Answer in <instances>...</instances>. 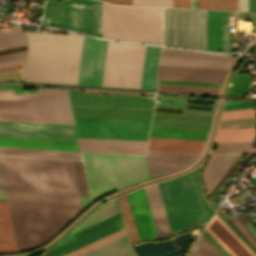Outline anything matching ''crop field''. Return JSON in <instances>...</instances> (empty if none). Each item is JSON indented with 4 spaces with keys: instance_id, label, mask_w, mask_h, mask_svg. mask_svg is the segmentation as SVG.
I'll list each match as a JSON object with an SVG mask.
<instances>
[{
    "instance_id": "obj_1",
    "label": "crop field",
    "mask_w": 256,
    "mask_h": 256,
    "mask_svg": "<svg viewBox=\"0 0 256 256\" xmlns=\"http://www.w3.org/2000/svg\"><path fill=\"white\" fill-rule=\"evenodd\" d=\"M0 168L18 252L43 245L82 211L72 161L0 156Z\"/></svg>"
},
{
    "instance_id": "obj_2",
    "label": "crop field",
    "mask_w": 256,
    "mask_h": 256,
    "mask_svg": "<svg viewBox=\"0 0 256 256\" xmlns=\"http://www.w3.org/2000/svg\"><path fill=\"white\" fill-rule=\"evenodd\" d=\"M24 32L29 48L23 80L76 84L83 36Z\"/></svg>"
},
{
    "instance_id": "obj_3",
    "label": "crop field",
    "mask_w": 256,
    "mask_h": 256,
    "mask_svg": "<svg viewBox=\"0 0 256 256\" xmlns=\"http://www.w3.org/2000/svg\"><path fill=\"white\" fill-rule=\"evenodd\" d=\"M0 120L74 125L66 90L14 94L0 89Z\"/></svg>"
},
{
    "instance_id": "obj_4",
    "label": "crop field",
    "mask_w": 256,
    "mask_h": 256,
    "mask_svg": "<svg viewBox=\"0 0 256 256\" xmlns=\"http://www.w3.org/2000/svg\"><path fill=\"white\" fill-rule=\"evenodd\" d=\"M92 202L149 178L144 156L82 154Z\"/></svg>"
},
{
    "instance_id": "obj_5",
    "label": "crop field",
    "mask_w": 256,
    "mask_h": 256,
    "mask_svg": "<svg viewBox=\"0 0 256 256\" xmlns=\"http://www.w3.org/2000/svg\"><path fill=\"white\" fill-rule=\"evenodd\" d=\"M171 231L206 222L213 211L204 200L197 171L158 184Z\"/></svg>"
},
{
    "instance_id": "obj_6",
    "label": "crop field",
    "mask_w": 256,
    "mask_h": 256,
    "mask_svg": "<svg viewBox=\"0 0 256 256\" xmlns=\"http://www.w3.org/2000/svg\"><path fill=\"white\" fill-rule=\"evenodd\" d=\"M162 8L103 2V37L161 44Z\"/></svg>"
},
{
    "instance_id": "obj_7",
    "label": "crop field",
    "mask_w": 256,
    "mask_h": 256,
    "mask_svg": "<svg viewBox=\"0 0 256 256\" xmlns=\"http://www.w3.org/2000/svg\"><path fill=\"white\" fill-rule=\"evenodd\" d=\"M74 117L150 120L153 101L147 98L81 95L69 91Z\"/></svg>"
},
{
    "instance_id": "obj_8",
    "label": "crop field",
    "mask_w": 256,
    "mask_h": 256,
    "mask_svg": "<svg viewBox=\"0 0 256 256\" xmlns=\"http://www.w3.org/2000/svg\"><path fill=\"white\" fill-rule=\"evenodd\" d=\"M42 23L102 37V2L47 1Z\"/></svg>"
},
{
    "instance_id": "obj_9",
    "label": "crop field",
    "mask_w": 256,
    "mask_h": 256,
    "mask_svg": "<svg viewBox=\"0 0 256 256\" xmlns=\"http://www.w3.org/2000/svg\"><path fill=\"white\" fill-rule=\"evenodd\" d=\"M145 49L108 41L102 86L139 88Z\"/></svg>"
},
{
    "instance_id": "obj_10",
    "label": "crop field",
    "mask_w": 256,
    "mask_h": 256,
    "mask_svg": "<svg viewBox=\"0 0 256 256\" xmlns=\"http://www.w3.org/2000/svg\"><path fill=\"white\" fill-rule=\"evenodd\" d=\"M78 136L147 140L150 121L74 118Z\"/></svg>"
},
{
    "instance_id": "obj_11",
    "label": "crop field",
    "mask_w": 256,
    "mask_h": 256,
    "mask_svg": "<svg viewBox=\"0 0 256 256\" xmlns=\"http://www.w3.org/2000/svg\"><path fill=\"white\" fill-rule=\"evenodd\" d=\"M0 136L77 141L74 126L0 121Z\"/></svg>"
},
{
    "instance_id": "obj_12",
    "label": "crop field",
    "mask_w": 256,
    "mask_h": 256,
    "mask_svg": "<svg viewBox=\"0 0 256 256\" xmlns=\"http://www.w3.org/2000/svg\"><path fill=\"white\" fill-rule=\"evenodd\" d=\"M106 44L84 36L77 84L101 86Z\"/></svg>"
},
{
    "instance_id": "obj_13",
    "label": "crop field",
    "mask_w": 256,
    "mask_h": 256,
    "mask_svg": "<svg viewBox=\"0 0 256 256\" xmlns=\"http://www.w3.org/2000/svg\"><path fill=\"white\" fill-rule=\"evenodd\" d=\"M176 11H168L167 42L175 43ZM186 12H178L177 43L185 44ZM196 13L188 12L187 45L195 46ZM206 13H198L197 46L205 47Z\"/></svg>"
},
{
    "instance_id": "obj_14",
    "label": "crop field",
    "mask_w": 256,
    "mask_h": 256,
    "mask_svg": "<svg viewBox=\"0 0 256 256\" xmlns=\"http://www.w3.org/2000/svg\"><path fill=\"white\" fill-rule=\"evenodd\" d=\"M122 227L123 226L120 214L118 213L110 218H107L97 224H94L86 229L75 233V236L78 240L62 246L56 250H53L47 253L45 256H61L111 232H114Z\"/></svg>"
},
{
    "instance_id": "obj_15",
    "label": "crop field",
    "mask_w": 256,
    "mask_h": 256,
    "mask_svg": "<svg viewBox=\"0 0 256 256\" xmlns=\"http://www.w3.org/2000/svg\"><path fill=\"white\" fill-rule=\"evenodd\" d=\"M226 70L159 65L157 79L221 83Z\"/></svg>"
},
{
    "instance_id": "obj_16",
    "label": "crop field",
    "mask_w": 256,
    "mask_h": 256,
    "mask_svg": "<svg viewBox=\"0 0 256 256\" xmlns=\"http://www.w3.org/2000/svg\"><path fill=\"white\" fill-rule=\"evenodd\" d=\"M82 152L144 154L147 141L79 138Z\"/></svg>"
},
{
    "instance_id": "obj_17",
    "label": "crop field",
    "mask_w": 256,
    "mask_h": 256,
    "mask_svg": "<svg viewBox=\"0 0 256 256\" xmlns=\"http://www.w3.org/2000/svg\"><path fill=\"white\" fill-rule=\"evenodd\" d=\"M131 205L135 223L138 229L140 240L156 237V231L144 193V189H139L127 194Z\"/></svg>"
},
{
    "instance_id": "obj_18",
    "label": "crop field",
    "mask_w": 256,
    "mask_h": 256,
    "mask_svg": "<svg viewBox=\"0 0 256 256\" xmlns=\"http://www.w3.org/2000/svg\"><path fill=\"white\" fill-rule=\"evenodd\" d=\"M205 228L233 256H255L216 215Z\"/></svg>"
},
{
    "instance_id": "obj_19",
    "label": "crop field",
    "mask_w": 256,
    "mask_h": 256,
    "mask_svg": "<svg viewBox=\"0 0 256 256\" xmlns=\"http://www.w3.org/2000/svg\"><path fill=\"white\" fill-rule=\"evenodd\" d=\"M239 154L240 153H223L214 154L211 157L202 172L206 192L212 191Z\"/></svg>"
},
{
    "instance_id": "obj_20",
    "label": "crop field",
    "mask_w": 256,
    "mask_h": 256,
    "mask_svg": "<svg viewBox=\"0 0 256 256\" xmlns=\"http://www.w3.org/2000/svg\"><path fill=\"white\" fill-rule=\"evenodd\" d=\"M205 141L150 137L147 150L199 154Z\"/></svg>"
},
{
    "instance_id": "obj_21",
    "label": "crop field",
    "mask_w": 256,
    "mask_h": 256,
    "mask_svg": "<svg viewBox=\"0 0 256 256\" xmlns=\"http://www.w3.org/2000/svg\"><path fill=\"white\" fill-rule=\"evenodd\" d=\"M211 118L154 114L151 126L208 130Z\"/></svg>"
},
{
    "instance_id": "obj_22",
    "label": "crop field",
    "mask_w": 256,
    "mask_h": 256,
    "mask_svg": "<svg viewBox=\"0 0 256 256\" xmlns=\"http://www.w3.org/2000/svg\"><path fill=\"white\" fill-rule=\"evenodd\" d=\"M0 146L79 151L77 142L36 139L2 138Z\"/></svg>"
},
{
    "instance_id": "obj_23",
    "label": "crop field",
    "mask_w": 256,
    "mask_h": 256,
    "mask_svg": "<svg viewBox=\"0 0 256 256\" xmlns=\"http://www.w3.org/2000/svg\"><path fill=\"white\" fill-rule=\"evenodd\" d=\"M157 231V235L170 233V227L158 189V185H149L144 188Z\"/></svg>"
},
{
    "instance_id": "obj_24",
    "label": "crop field",
    "mask_w": 256,
    "mask_h": 256,
    "mask_svg": "<svg viewBox=\"0 0 256 256\" xmlns=\"http://www.w3.org/2000/svg\"><path fill=\"white\" fill-rule=\"evenodd\" d=\"M17 253L8 206L0 202V254Z\"/></svg>"
},
{
    "instance_id": "obj_25",
    "label": "crop field",
    "mask_w": 256,
    "mask_h": 256,
    "mask_svg": "<svg viewBox=\"0 0 256 256\" xmlns=\"http://www.w3.org/2000/svg\"><path fill=\"white\" fill-rule=\"evenodd\" d=\"M0 154L81 159L79 152H71V151H54V150L0 147Z\"/></svg>"
},
{
    "instance_id": "obj_26",
    "label": "crop field",
    "mask_w": 256,
    "mask_h": 256,
    "mask_svg": "<svg viewBox=\"0 0 256 256\" xmlns=\"http://www.w3.org/2000/svg\"><path fill=\"white\" fill-rule=\"evenodd\" d=\"M222 11H208L207 50H221Z\"/></svg>"
},
{
    "instance_id": "obj_27",
    "label": "crop field",
    "mask_w": 256,
    "mask_h": 256,
    "mask_svg": "<svg viewBox=\"0 0 256 256\" xmlns=\"http://www.w3.org/2000/svg\"><path fill=\"white\" fill-rule=\"evenodd\" d=\"M173 7L190 8V0H173ZM191 8H198V0H191ZM199 8L237 10V0H199Z\"/></svg>"
},
{
    "instance_id": "obj_28",
    "label": "crop field",
    "mask_w": 256,
    "mask_h": 256,
    "mask_svg": "<svg viewBox=\"0 0 256 256\" xmlns=\"http://www.w3.org/2000/svg\"><path fill=\"white\" fill-rule=\"evenodd\" d=\"M256 127L218 129L214 143L254 141Z\"/></svg>"
},
{
    "instance_id": "obj_29",
    "label": "crop field",
    "mask_w": 256,
    "mask_h": 256,
    "mask_svg": "<svg viewBox=\"0 0 256 256\" xmlns=\"http://www.w3.org/2000/svg\"><path fill=\"white\" fill-rule=\"evenodd\" d=\"M160 48L147 46L140 88L152 89Z\"/></svg>"
},
{
    "instance_id": "obj_30",
    "label": "crop field",
    "mask_w": 256,
    "mask_h": 256,
    "mask_svg": "<svg viewBox=\"0 0 256 256\" xmlns=\"http://www.w3.org/2000/svg\"><path fill=\"white\" fill-rule=\"evenodd\" d=\"M82 256H135L126 237H122Z\"/></svg>"
},
{
    "instance_id": "obj_31",
    "label": "crop field",
    "mask_w": 256,
    "mask_h": 256,
    "mask_svg": "<svg viewBox=\"0 0 256 256\" xmlns=\"http://www.w3.org/2000/svg\"><path fill=\"white\" fill-rule=\"evenodd\" d=\"M207 131L151 127L150 136L205 140Z\"/></svg>"
},
{
    "instance_id": "obj_32",
    "label": "crop field",
    "mask_w": 256,
    "mask_h": 256,
    "mask_svg": "<svg viewBox=\"0 0 256 256\" xmlns=\"http://www.w3.org/2000/svg\"><path fill=\"white\" fill-rule=\"evenodd\" d=\"M231 62L160 57L159 64L227 69Z\"/></svg>"
},
{
    "instance_id": "obj_33",
    "label": "crop field",
    "mask_w": 256,
    "mask_h": 256,
    "mask_svg": "<svg viewBox=\"0 0 256 256\" xmlns=\"http://www.w3.org/2000/svg\"><path fill=\"white\" fill-rule=\"evenodd\" d=\"M117 200H118V204H119V207H120L122 218H123V221H124V224H125V228H126V231H127L129 242L133 243V242L140 241L137 230H136V226H135V223H134V219H133V216H132V212H131V209H130V206H129V202H128V199H127V195L125 194V195L117 198Z\"/></svg>"
},
{
    "instance_id": "obj_34",
    "label": "crop field",
    "mask_w": 256,
    "mask_h": 256,
    "mask_svg": "<svg viewBox=\"0 0 256 256\" xmlns=\"http://www.w3.org/2000/svg\"><path fill=\"white\" fill-rule=\"evenodd\" d=\"M160 56L232 61L234 57L163 48Z\"/></svg>"
},
{
    "instance_id": "obj_35",
    "label": "crop field",
    "mask_w": 256,
    "mask_h": 256,
    "mask_svg": "<svg viewBox=\"0 0 256 256\" xmlns=\"http://www.w3.org/2000/svg\"><path fill=\"white\" fill-rule=\"evenodd\" d=\"M158 90L218 94L220 88L157 84Z\"/></svg>"
},
{
    "instance_id": "obj_36",
    "label": "crop field",
    "mask_w": 256,
    "mask_h": 256,
    "mask_svg": "<svg viewBox=\"0 0 256 256\" xmlns=\"http://www.w3.org/2000/svg\"><path fill=\"white\" fill-rule=\"evenodd\" d=\"M25 44H27V42L22 30L7 32V33H0V49L20 46Z\"/></svg>"
},
{
    "instance_id": "obj_37",
    "label": "crop field",
    "mask_w": 256,
    "mask_h": 256,
    "mask_svg": "<svg viewBox=\"0 0 256 256\" xmlns=\"http://www.w3.org/2000/svg\"><path fill=\"white\" fill-rule=\"evenodd\" d=\"M117 203L116 200H109L105 205L101 204L97 206L86 218H84L77 226L84 224L90 220H93L99 216H102L108 212H111L115 209H117ZM76 226V227H77Z\"/></svg>"
},
{
    "instance_id": "obj_38",
    "label": "crop field",
    "mask_w": 256,
    "mask_h": 256,
    "mask_svg": "<svg viewBox=\"0 0 256 256\" xmlns=\"http://www.w3.org/2000/svg\"><path fill=\"white\" fill-rule=\"evenodd\" d=\"M192 256H222V255L203 236H201Z\"/></svg>"
},
{
    "instance_id": "obj_39",
    "label": "crop field",
    "mask_w": 256,
    "mask_h": 256,
    "mask_svg": "<svg viewBox=\"0 0 256 256\" xmlns=\"http://www.w3.org/2000/svg\"><path fill=\"white\" fill-rule=\"evenodd\" d=\"M253 143L254 142L214 144L217 145V148L213 150L212 153L251 150Z\"/></svg>"
},
{
    "instance_id": "obj_40",
    "label": "crop field",
    "mask_w": 256,
    "mask_h": 256,
    "mask_svg": "<svg viewBox=\"0 0 256 256\" xmlns=\"http://www.w3.org/2000/svg\"><path fill=\"white\" fill-rule=\"evenodd\" d=\"M250 117H255L254 110L252 108H247V109L223 111L220 120L250 118Z\"/></svg>"
},
{
    "instance_id": "obj_41",
    "label": "crop field",
    "mask_w": 256,
    "mask_h": 256,
    "mask_svg": "<svg viewBox=\"0 0 256 256\" xmlns=\"http://www.w3.org/2000/svg\"><path fill=\"white\" fill-rule=\"evenodd\" d=\"M73 163H74L79 193L80 195H88L81 161H73Z\"/></svg>"
},
{
    "instance_id": "obj_42",
    "label": "crop field",
    "mask_w": 256,
    "mask_h": 256,
    "mask_svg": "<svg viewBox=\"0 0 256 256\" xmlns=\"http://www.w3.org/2000/svg\"><path fill=\"white\" fill-rule=\"evenodd\" d=\"M133 5L172 7V0H133Z\"/></svg>"
},
{
    "instance_id": "obj_43",
    "label": "crop field",
    "mask_w": 256,
    "mask_h": 256,
    "mask_svg": "<svg viewBox=\"0 0 256 256\" xmlns=\"http://www.w3.org/2000/svg\"><path fill=\"white\" fill-rule=\"evenodd\" d=\"M230 219L241 230L246 238L256 247V238L247 230V228L240 222V220L236 216L231 217Z\"/></svg>"
},
{
    "instance_id": "obj_44",
    "label": "crop field",
    "mask_w": 256,
    "mask_h": 256,
    "mask_svg": "<svg viewBox=\"0 0 256 256\" xmlns=\"http://www.w3.org/2000/svg\"><path fill=\"white\" fill-rule=\"evenodd\" d=\"M185 103L214 105L215 101L185 98ZM184 108L206 109V110L214 109V108H207V107H192V106H184Z\"/></svg>"
},
{
    "instance_id": "obj_45",
    "label": "crop field",
    "mask_w": 256,
    "mask_h": 256,
    "mask_svg": "<svg viewBox=\"0 0 256 256\" xmlns=\"http://www.w3.org/2000/svg\"><path fill=\"white\" fill-rule=\"evenodd\" d=\"M25 54H26V51L18 52V53H12V54H7V55H1L0 56V61H6V60H11V59L23 58V57H25Z\"/></svg>"
},
{
    "instance_id": "obj_46",
    "label": "crop field",
    "mask_w": 256,
    "mask_h": 256,
    "mask_svg": "<svg viewBox=\"0 0 256 256\" xmlns=\"http://www.w3.org/2000/svg\"><path fill=\"white\" fill-rule=\"evenodd\" d=\"M118 212H119V210L117 209V210H115V211H113V212H111V213H109V214H106V215H104V216H102V217H100V218H98V219H96V220H93V221H91V222H89V223H87V224H85V225H82V226H80V227H78V228L72 230V232L75 233V232H77V231H79V230H81V229H83V228H85V227H87V226H89V225H92V224H94V223H96V222H98V221H100V220H102V219H104V218H106V217H109V216H111V215H113V214H116V213H118Z\"/></svg>"
},
{
    "instance_id": "obj_47",
    "label": "crop field",
    "mask_w": 256,
    "mask_h": 256,
    "mask_svg": "<svg viewBox=\"0 0 256 256\" xmlns=\"http://www.w3.org/2000/svg\"><path fill=\"white\" fill-rule=\"evenodd\" d=\"M24 61H25V58L17 59V60H11V61H6V62H0V67L11 66V65H16V64H22V63H24Z\"/></svg>"
},
{
    "instance_id": "obj_48",
    "label": "crop field",
    "mask_w": 256,
    "mask_h": 256,
    "mask_svg": "<svg viewBox=\"0 0 256 256\" xmlns=\"http://www.w3.org/2000/svg\"><path fill=\"white\" fill-rule=\"evenodd\" d=\"M238 10L248 11V0H238Z\"/></svg>"
},
{
    "instance_id": "obj_49",
    "label": "crop field",
    "mask_w": 256,
    "mask_h": 256,
    "mask_svg": "<svg viewBox=\"0 0 256 256\" xmlns=\"http://www.w3.org/2000/svg\"><path fill=\"white\" fill-rule=\"evenodd\" d=\"M103 1H109L116 4L132 5V0H103Z\"/></svg>"
},
{
    "instance_id": "obj_50",
    "label": "crop field",
    "mask_w": 256,
    "mask_h": 256,
    "mask_svg": "<svg viewBox=\"0 0 256 256\" xmlns=\"http://www.w3.org/2000/svg\"><path fill=\"white\" fill-rule=\"evenodd\" d=\"M154 111L183 113V110L155 108Z\"/></svg>"
},
{
    "instance_id": "obj_51",
    "label": "crop field",
    "mask_w": 256,
    "mask_h": 256,
    "mask_svg": "<svg viewBox=\"0 0 256 256\" xmlns=\"http://www.w3.org/2000/svg\"><path fill=\"white\" fill-rule=\"evenodd\" d=\"M249 11L256 12V0H249Z\"/></svg>"
},
{
    "instance_id": "obj_52",
    "label": "crop field",
    "mask_w": 256,
    "mask_h": 256,
    "mask_svg": "<svg viewBox=\"0 0 256 256\" xmlns=\"http://www.w3.org/2000/svg\"><path fill=\"white\" fill-rule=\"evenodd\" d=\"M248 230L256 237V229L254 226L250 223L249 225L246 226Z\"/></svg>"
}]
</instances>
